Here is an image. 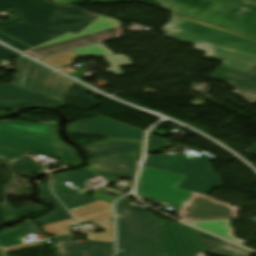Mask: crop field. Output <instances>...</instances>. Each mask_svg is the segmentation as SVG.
<instances>
[{
  "instance_id": "obj_29",
  "label": "crop field",
  "mask_w": 256,
  "mask_h": 256,
  "mask_svg": "<svg viewBox=\"0 0 256 256\" xmlns=\"http://www.w3.org/2000/svg\"><path fill=\"white\" fill-rule=\"evenodd\" d=\"M19 175H29L31 173L44 170L43 167L35 162H32L28 159L20 160L11 165Z\"/></svg>"
},
{
  "instance_id": "obj_38",
  "label": "crop field",
  "mask_w": 256,
  "mask_h": 256,
  "mask_svg": "<svg viewBox=\"0 0 256 256\" xmlns=\"http://www.w3.org/2000/svg\"><path fill=\"white\" fill-rule=\"evenodd\" d=\"M61 163L71 164V165H77V164H80L81 161H80V160H66V159H61Z\"/></svg>"
},
{
  "instance_id": "obj_34",
  "label": "crop field",
  "mask_w": 256,
  "mask_h": 256,
  "mask_svg": "<svg viewBox=\"0 0 256 256\" xmlns=\"http://www.w3.org/2000/svg\"><path fill=\"white\" fill-rule=\"evenodd\" d=\"M20 55L0 46V59H6V58H18Z\"/></svg>"
},
{
  "instance_id": "obj_27",
  "label": "crop field",
  "mask_w": 256,
  "mask_h": 256,
  "mask_svg": "<svg viewBox=\"0 0 256 256\" xmlns=\"http://www.w3.org/2000/svg\"><path fill=\"white\" fill-rule=\"evenodd\" d=\"M105 230L103 233L95 234L93 232L87 231L86 234L89 240H97V241H107L114 243V226L113 222L109 221L103 224L97 225Z\"/></svg>"
},
{
  "instance_id": "obj_18",
  "label": "crop field",
  "mask_w": 256,
  "mask_h": 256,
  "mask_svg": "<svg viewBox=\"0 0 256 256\" xmlns=\"http://www.w3.org/2000/svg\"><path fill=\"white\" fill-rule=\"evenodd\" d=\"M194 230L205 253L217 256H249L251 253H253L216 237L202 233L196 229Z\"/></svg>"
},
{
  "instance_id": "obj_39",
  "label": "crop field",
  "mask_w": 256,
  "mask_h": 256,
  "mask_svg": "<svg viewBox=\"0 0 256 256\" xmlns=\"http://www.w3.org/2000/svg\"><path fill=\"white\" fill-rule=\"evenodd\" d=\"M57 3H61V4H72L74 2H76L77 0H53Z\"/></svg>"
},
{
  "instance_id": "obj_26",
  "label": "crop field",
  "mask_w": 256,
  "mask_h": 256,
  "mask_svg": "<svg viewBox=\"0 0 256 256\" xmlns=\"http://www.w3.org/2000/svg\"><path fill=\"white\" fill-rule=\"evenodd\" d=\"M77 57L78 56H76L74 53L67 52V53L59 54V55L41 59V60L58 69H61V68L72 66L73 61Z\"/></svg>"
},
{
  "instance_id": "obj_10",
  "label": "crop field",
  "mask_w": 256,
  "mask_h": 256,
  "mask_svg": "<svg viewBox=\"0 0 256 256\" xmlns=\"http://www.w3.org/2000/svg\"><path fill=\"white\" fill-rule=\"evenodd\" d=\"M18 71L14 85L62 101L72 81L23 57L16 60Z\"/></svg>"
},
{
  "instance_id": "obj_33",
  "label": "crop field",
  "mask_w": 256,
  "mask_h": 256,
  "mask_svg": "<svg viewBox=\"0 0 256 256\" xmlns=\"http://www.w3.org/2000/svg\"><path fill=\"white\" fill-rule=\"evenodd\" d=\"M0 39L9 43V44H11V45H13V46H15V47H17V48H19V49H21V50H23V51L31 49V47L15 40V39H12V38H10V37L2 34V33H0Z\"/></svg>"
},
{
  "instance_id": "obj_32",
  "label": "crop field",
  "mask_w": 256,
  "mask_h": 256,
  "mask_svg": "<svg viewBox=\"0 0 256 256\" xmlns=\"http://www.w3.org/2000/svg\"><path fill=\"white\" fill-rule=\"evenodd\" d=\"M171 145V143L165 142L164 139L150 134L147 144V153H159L160 148L170 147Z\"/></svg>"
},
{
  "instance_id": "obj_36",
  "label": "crop field",
  "mask_w": 256,
  "mask_h": 256,
  "mask_svg": "<svg viewBox=\"0 0 256 256\" xmlns=\"http://www.w3.org/2000/svg\"><path fill=\"white\" fill-rule=\"evenodd\" d=\"M37 245H42V244H40L39 242H36V243H32V244H28V245H24V246H20V247H14V248L5 250V253L17 251V250L25 249V248L32 247V246H37Z\"/></svg>"
},
{
  "instance_id": "obj_17",
  "label": "crop field",
  "mask_w": 256,
  "mask_h": 256,
  "mask_svg": "<svg viewBox=\"0 0 256 256\" xmlns=\"http://www.w3.org/2000/svg\"><path fill=\"white\" fill-rule=\"evenodd\" d=\"M53 245L58 254L86 252V256H114L113 243L88 241L87 246L73 247L71 236H62Z\"/></svg>"
},
{
  "instance_id": "obj_20",
  "label": "crop field",
  "mask_w": 256,
  "mask_h": 256,
  "mask_svg": "<svg viewBox=\"0 0 256 256\" xmlns=\"http://www.w3.org/2000/svg\"><path fill=\"white\" fill-rule=\"evenodd\" d=\"M52 187L55 194L69 210L99 200L96 198L73 193L66 190L63 186L62 177L60 173L52 176Z\"/></svg>"
},
{
  "instance_id": "obj_25",
  "label": "crop field",
  "mask_w": 256,
  "mask_h": 256,
  "mask_svg": "<svg viewBox=\"0 0 256 256\" xmlns=\"http://www.w3.org/2000/svg\"><path fill=\"white\" fill-rule=\"evenodd\" d=\"M61 174L63 180L69 181L70 183H72L73 185L80 189H86L87 187L85 185V182L90 180L95 173L85 168H82L74 171L63 172Z\"/></svg>"
},
{
  "instance_id": "obj_16",
  "label": "crop field",
  "mask_w": 256,
  "mask_h": 256,
  "mask_svg": "<svg viewBox=\"0 0 256 256\" xmlns=\"http://www.w3.org/2000/svg\"><path fill=\"white\" fill-rule=\"evenodd\" d=\"M63 103L10 84L0 86V107L6 110L27 104Z\"/></svg>"
},
{
  "instance_id": "obj_22",
  "label": "crop field",
  "mask_w": 256,
  "mask_h": 256,
  "mask_svg": "<svg viewBox=\"0 0 256 256\" xmlns=\"http://www.w3.org/2000/svg\"><path fill=\"white\" fill-rule=\"evenodd\" d=\"M88 91L89 90L73 82L67 94L65 95L63 102L82 108L84 110L90 109L98 105V103L93 98L85 95Z\"/></svg>"
},
{
  "instance_id": "obj_28",
  "label": "crop field",
  "mask_w": 256,
  "mask_h": 256,
  "mask_svg": "<svg viewBox=\"0 0 256 256\" xmlns=\"http://www.w3.org/2000/svg\"><path fill=\"white\" fill-rule=\"evenodd\" d=\"M105 59L111 67L108 71L117 76L123 75V72L120 69L121 66L132 65L130 58L122 55L106 56Z\"/></svg>"
},
{
  "instance_id": "obj_3",
  "label": "crop field",
  "mask_w": 256,
  "mask_h": 256,
  "mask_svg": "<svg viewBox=\"0 0 256 256\" xmlns=\"http://www.w3.org/2000/svg\"><path fill=\"white\" fill-rule=\"evenodd\" d=\"M167 10L256 37L255 2L249 0H154Z\"/></svg>"
},
{
  "instance_id": "obj_14",
  "label": "crop field",
  "mask_w": 256,
  "mask_h": 256,
  "mask_svg": "<svg viewBox=\"0 0 256 256\" xmlns=\"http://www.w3.org/2000/svg\"><path fill=\"white\" fill-rule=\"evenodd\" d=\"M210 78L230 82V86L240 91V96L251 104L256 103V66L248 73L218 67Z\"/></svg>"
},
{
  "instance_id": "obj_9",
  "label": "crop field",
  "mask_w": 256,
  "mask_h": 256,
  "mask_svg": "<svg viewBox=\"0 0 256 256\" xmlns=\"http://www.w3.org/2000/svg\"><path fill=\"white\" fill-rule=\"evenodd\" d=\"M121 35L118 20L100 16L78 35L68 33L25 52L39 58Z\"/></svg>"
},
{
  "instance_id": "obj_40",
  "label": "crop field",
  "mask_w": 256,
  "mask_h": 256,
  "mask_svg": "<svg viewBox=\"0 0 256 256\" xmlns=\"http://www.w3.org/2000/svg\"><path fill=\"white\" fill-rule=\"evenodd\" d=\"M251 145H252L253 148L249 153L256 156V142L251 144Z\"/></svg>"
},
{
  "instance_id": "obj_43",
  "label": "crop field",
  "mask_w": 256,
  "mask_h": 256,
  "mask_svg": "<svg viewBox=\"0 0 256 256\" xmlns=\"http://www.w3.org/2000/svg\"><path fill=\"white\" fill-rule=\"evenodd\" d=\"M248 221H251V222L256 223V218L250 219V220H248Z\"/></svg>"
},
{
  "instance_id": "obj_42",
  "label": "crop field",
  "mask_w": 256,
  "mask_h": 256,
  "mask_svg": "<svg viewBox=\"0 0 256 256\" xmlns=\"http://www.w3.org/2000/svg\"><path fill=\"white\" fill-rule=\"evenodd\" d=\"M62 71L67 72V73L75 72V70H73V69H71V68L65 69V70H62Z\"/></svg>"
},
{
  "instance_id": "obj_12",
  "label": "crop field",
  "mask_w": 256,
  "mask_h": 256,
  "mask_svg": "<svg viewBox=\"0 0 256 256\" xmlns=\"http://www.w3.org/2000/svg\"><path fill=\"white\" fill-rule=\"evenodd\" d=\"M68 132L143 141L144 132L98 117L66 126Z\"/></svg>"
},
{
  "instance_id": "obj_30",
  "label": "crop field",
  "mask_w": 256,
  "mask_h": 256,
  "mask_svg": "<svg viewBox=\"0 0 256 256\" xmlns=\"http://www.w3.org/2000/svg\"><path fill=\"white\" fill-rule=\"evenodd\" d=\"M73 52L76 55H78L79 57H87V56H91V55H94L96 57H101V56L113 54L102 43L93 45V46H89V47H85V48H81V49H77Z\"/></svg>"
},
{
  "instance_id": "obj_15",
  "label": "crop field",
  "mask_w": 256,
  "mask_h": 256,
  "mask_svg": "<svg viewBox=\"0 0 256 256\" xmlns=\"http://www.w3.org/2000/svg\"><path fill=\"white\" fill-rule=\"evenodd\" d=\"M0 31L32 47H35L66 33L26 23L15 25Z\"/></svg>"
},
{
  "instance_id": "obj_8",
  "label": "crop field",
  "mask_w": 256,
  "mask_h": 256,
  "mask_svg": "<svg viewBox=\"0 0 256 256\" xmlns=\"http://www.w3.org/2000/svg\"><path fill=\"white\" fill-rule=\"evenodd\" d=\"M151 161V163H148ZM143 166L188 176L177 188L207 195L213 188L221 187L219 174L210 165L171 155L147 156Z\"/></svg>"
},
{
  "instance_id": "obj_44",
  "label": "crop field",
  "mask_w": 256,
  "mask_h": 256,
  "mask_svg": "<svg viewBox=\"0 0 256 256\" xmlns=\"http://www.w3.org/2000/svg\"><path fill=\"white\" fill-rule=\"evenodd\" d=\"M0 256H3L2 253H1V251H0Z\"/></svg>"
},
{
  "instance_id": "obj_24",
  "label": "crop field",
  "mask_w": 256,
  "mask_h": 256,
  "mask_svg": "<svg viewBox=\"0 0 256 256\" xmlns=\"http://www.w3.org/2000/svg\"><path fill=\"white\" fill-rule=\"evenodd\" d=\"M44 210L42 205H32L24 208L13 209L8 203H0V213L3 220L21 217Z\"/></svg>"
},
{
  "instance_id": "obj_19",
  "label": "crop field",
  "mask_w": 256,
  "mask_h": 256,
  "mask_svg": "<svg viewBox=\"0 0 256 256\" xmlns=\"http://www.w3.org/2000/svg\"><path fill=\"white\" fill-rule=\"evenodd\" d=\"M71 212L79 223L94 224L113 218L111 204L102 200L71 210Z\"/></svg>"
},
{
  "instance_id": "obj_2",
  "label": "crop field",
  "mask_w": 256,
  "mask_h": 256,
  "mask_svg": "<svg viewBox=\"0 0 256 256\" xmlns=\"http://www.w3.org/2000/svg\"><path fill=\"white\" fill-rule=\"evenodd\" d=\"M57 138L56 122L0 121V158L13 162L29 153H35L78 159L73 148Z\"/></svg>"
},
{
  "instance_id": "obj_1",
  "label": "crop field",
  "mask_w": 256,
  "mask_h": 256,
  "mask_svg": "<svg viewBox=\"0 0 256 256\" xmlns=\"http://www.w3.org/2000/svg\"><path fill=\"white\" fill-rule=\"evenodd\" d=\"M186 176L142 167L137 183L139 196L180 206L182 221L230 239L240 245L247 241L234 237L231 219H238L239 207L218 202L214 198L179 190L176 187Z\"/></svg>"
},
{
  "instance_id": "obj_4",
  "label": "crop field",
  "mask_w": 256,
  "mask_h": 256,
  "mask_svg": "<svg viewBox=\"0 0 256 256\" xmlns=\"http://www.w3.org/2000/svg\"><path fill=\"white\" fill-rule=\"evenodd\" d=\"M17 7L27 23L78 34L99 15L48 0H0V11Z\"/></svg>"
},
{
  "instance_id": "obj_11",
  "label": "crop field",
  "mask_w": 256,
  "mask_h": 256,
  "mask_svg": "<svg viewBox=\"0 0 256 256\" xmlns=\"http://www.w3.org/2000/svg\"><path fill=\"white\" fill-rule=\"evenodd\" d=\"M161 256H198L202 251L193 228L157 219Z\"/></svg>"
},
{
  "instance_id": "obj_41",
  "label": "crop field",
  "mask_w": 256,
  "mask_h": 256,
  "mask_svg": "<svg viewBox=\"0 0 256 256\" xmlns=\"http://www.w3.org/2000/svg\"><path fill=\"white\" fill-rule=\"evenodd\" d=\"M61 256H85V253L67 254V255H61Z\"/></svg>"
},
{
  "instance_id": "obj_31",
  "label": "crop field",
  "mask_w": 256,
  "mask_h": 256,
  "mask_svg": "<svg viewBox=\"0 0 256 256\" xmlns=\"http://www.w3.org/2000/svg\"><path fill=\"white\" fill-rule=\"evenodd\" d=\"M73 224H75L74 220L70 219L58 223L45 225L43 226V229L52 235L59 236L64 234H70V225Z\"/></svg>"
},
{
  "instance_id": "obj_21",
  "label": "crop field",
  "mask_w": 256,
  "mask_h": 256,
  "mask_svg": "<svg viewBox=\"0 0 256 256\" xmlns=\"http://www.w3.org/2000/svg\"><path fill=\"white\" fill-rule=\"evenodd\" d=\"M39 189V198L54 203L55 210L51 212L48 216L36 219V221H38L42 225H45L72 218V216L66 211V209L51 194L49 189V182L39 184Z\"/></svg>"
},
{
  "instance_id": "obj_6",
  "label": "crop field",
  "mask_w": 256,
  "mask_h": 256,
  "mask_svg": "<svg viewBox=\"0 0 256 256\" xmlns=\"http://www.w3.org/2000/svg\"><path fill=\"white\" fill-rule=\"evenodd\" d=\"M165 32L256 55V39L172 14Z\"/></svg>"
},
{
  "instance_id": "obj_13",
  "label": "crop field",
  "mask_w": 256,
  "mask_h": 256,
  "mask_svg": "<svg viewBox=\"0 0 256 256\" xmlns=\"http://www.w3.org/2000/svg\"><path fill=\"white\" fill-rule=\"evenodd\" d=\"M164 37L191 43L195 45L193 49L204 51L205 57L223 62L224 67L248 72L256 65V56L225 49L222 47L206 44L203 42L187 39L184 37L166 33Z\"/></svg>"
},
{
  "instance_id": "obj_37",
  "label": "crop field",
  "mask_w": 256,
  "mask_h": 256,
  "mask_svg": "<svg viewBox=\"0 0 256 256\" xmlns=\"http://www.w3.org/2000/svg\"><path fill=\"white\" fill-rule=\"evenodd\" d=\"M19 23H22V22H18V21H14V20H10V21L3 22V23L0 22V29L9 27V26H12L15 24H19Z\"/></svg>"
},
{
  "instance_id": "obj_23",
  "label": "crop field",
  "mask_w": 256,
  "mask_h": 256,
  "mask_svg": "<svg viewBox=\"0 0 256 256\" xmlns=\"http://www.w3.org/2000/svg\"><path fill=\"white\" fill-rule=\"evenodd\" d=\"M40 232L32 221L6 232L0 233V247H9L17 244H21L22 237L25 235Z\"/></svg>"
},
{
  "instance_id": "obj_7",
  "label": "crop field",
  "mask_w": 256,
  "mask_h": 256,
  "mask_svg": "<svg viewBox=\"0 0 256 256\" xmlns=\"http://www.w3.org/2000/svg\"><path fill=\"white\" fill-rule=\"evenodd\" d=\"M143 144V142L109 138L105 141L91 144L85 147V149L88 151L89 156L98 159L101 157H108L122 153L139 151L142 150ZM112 158L113 157L104 159L101 158L99 163L92 165L87 169L95 172L97 175L113 183H115L114 180H118L120 178H135V174L138 169L137 164L141 158V152L120 156L122 162L127 168V171L122 170L116 164L109 160Z\"/></svg>"
},
{
  "instance_id": "obj_5",
  "label": "crop field",
  "mask_w": 256,
  "mask_h": 256,
  "mask_svg": "<svg viewBox=\"0 0 256 256\" xmlns=\"http://www.w3.org/2000/svg\"><path fill=\"white\" fill-rule=\"evenodd\" d=\"M118 213V256H160L156 217L116 203Z\"/></svg>"
},
{
  "instance_id": "obj_35",
  "label": "crop field",
  "mask_w": 256,
  "mask_h": 256,
  "mask_svg": "<svg viewBox=\"0 0 256 256\" xmlns=\"http://www.w3.org/2000/svg\"><path fill=\"white\" fill-rule=\"evenodd\" d=\"M121 196H122V195H119V194H117V195L114 196V197H110V196L103 195V194H93V195H92V197H96V198L105 200V201L110 202V203H112L114 200L118 199V198L121 197Z\"/></svg>"
}]
</instances>
